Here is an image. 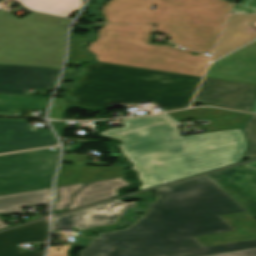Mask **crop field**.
Returning <instances> with one entry per match:
<instances>
[{"label": "crop field", "mask_w": 256, "mask_h": 256, "mask_svg": "<svg viewBox=\"0 0 256 256\" xmlns=\"http://www.w3.org/2000/svg\"><path fill=\"white\" fill-rule=\"evenodd\" d=\"M127 229L99 234L80 256H202L256 247V219L206 175L155 190Z\"/></svg>", "instance_id": "8a807250"}, {"label": "crop field", "mask_w": 256, "mask_h": 256, "mask_svg": "<svg viewBox=\"0 0 256 256\" xmlns=\"http://www.w3.org/2000/svg\"><path fill=\"white\" fill-rule=\"evenodd\" d=\"M122 121L124 128L101 135L121 140V153L143 183L138 190L240 162L247 148L241 129L180 137L164 114Z\"/></svg>", "instance_id": "ac0d7876"}, {"label": "crop field", "mask_w": 256, "mask_h": 256, "mask_svg": "<svg viewBox=\"0 0 256 256\" xmlns=\"http://www.w3.org/2000/svg\"><path fill=\"white\" fill-rule=\"evenodd\" d=\"M69 96L76 105L108 109L113 102L133 104L155 102L166 111L187 107L202 78L121 66L90 64Z\"/></svg>", "instance_id": "34b2d1b8"}, {"label": "crop field", "mask_w": 256, "mask_h": 256, "mask_svg": "<svg viewBox=\"0 0 256 256\" xmlns=\"http://www.w3.org/2000/svg\"><path fill=\"white\" fill-rule=\"evenodd\" d=\"M71 22L36 12L18 19L0 10V64L60 68Z\"/></svg>", "instance_id": "412701ff"}, {"label": "crop field", "mask_w": 256, "mask_h": 256, "mask_svg": "<svg viewBox=\"0 0 256 256\" xmlns=\"http://www.w3.org/2000/svg\"><path fill=\"white\" fill-rule=\"evenodd\" d=\"M59 150L0 156V195L51 187Z\"/></svg>", "instance_id": "f4fd0767"}, {"label": "crop field", "mask_w": 256, "mask_h": 256, "mask_svg": "<svg viewBox=\"0 0 256 256\" xmlns=\"http://www.w3.org/2000/svg\"><path fill=\"white\" fill-rule=\"evenodd\" d=\"M255 95L256 85L205 78L194 101L251 112Z\"/></svg>", "instance_id": "dd49c442"}, {"label": "crop field", "mask_w": 256, "mask_h": 256, "mask_svg": "<svg viewBox=\"0 0 256 256\" xmlns=\"http://www.w3.org/2000/svg\"><path fill=\"white\" fill-rule=\"evenodd\" d=\"M60 70L0 65V93L28 95L29 89L52 90Z\"/></svg>", "instance_id": "e52e79f7"}, {"label": "crop field", "mask_w": 256, "mask_h": 256, "mask_svg": "<svg viewBox=\"0 0 256 256\" xmlns=\"http://www.w3.org/2000/svg\"><path fill=\"white\" fill-rule=\"evenodd\" d=\"M85 183L66 185L56 188L54 210H64L71 202L75 194ZM131 183L123 177L92 182L85 185L79 193L74 196V201L66 209H75L85 205L118 197L117 190L120 187H128Z\"/></svg>", "instance_id": "d8731c3e"}, {"label": "crop field", "mask_w": 256, "mask_h": 256, "mask_svg": "<svg viewBox=\"0 0 256 256\" xmlns=\"http://www.w3.org/2000/svg\"><path fill=\"white\" fill-rule=\"evenodd\" d=\"M54 145L50 129L33 131L27 120L0 119V154Z\"/></svg>", "instance_id": "5a996713"}, {"label": "crop field", "mask_w": 256, "mask_h": 256, "mask_svg": "<svg viewBox=\"0 0 256 256\" xmlns=\"http://www.w3.org/2000/svg\"><path fill=\"white\" fill-rule=\"evenodd\" d=\"M249 213L256 217V171L236 167L207 175Z\"/></svg>", "instance_id": "3316defc"}, {"label": "crop field", "mask_w": 256, "mask_h": 256, "mask_svg": "<svg viewBox=\"0 0 256 256\" xmlns=\"http://www.w3.org/2000/svg\"><path fill=\"white\" fill-rule=\"evenodd\" d=\"M136 203L127 204L119 200L76 211L54 219L53 230L76 227L84 229L98 225L114 224L126 209L135 207Z\"/></svg>", "instance_id": "28ad6ade"}, {"label": "crop field", "mask_w": 256, "mask_h": 256, "mask_svg": "<svg viewBox=\"0 0 256 256\" xmlns=\"http://www.w3.org/2000/svg\"><path fill=\"white\" fill-rule=\"evenodd\" d=\"M253 21H256V16H230L227 20L212 60H215L248 43L249 41L256 39V30L247 25Z\"/></svg>", "instance_id": "d1516ede"}, {"label": "crop field", "mask_w": 256, "mask_h": 256, "mask_svg": "<svg viewBox=\"0 0 256 256\" xmlns=\"http://www.w3.org/2000/svg\"><path fill=\"white\" fill-rule=\"evenodd\" d=\"M47 240L46 221L0 233V256H43L44 251L23 253L18 244Z\"/></svg>", "instance_id": "22f410ed"}, {"label": "crop field", "mask_w": 256, "mask_h": 256, "mask_svg": "<svg viewBox=\"0 0 256 256\" xmlns=\"http://www.w3.org/2000/svg\"><path fill=\"white\" fill-rule=\"evenodd\" d=\"M121 168L62 165L57 176L56 187L124 176V174L119 173Z\"/></svg>", "instance_id": "cbeb9de0"}, {"label": "crop field", "mask_w": 256, "mask_h": 256, "mask_svg": "<svg viewBox=\"0 0 256 256\" xmlns=\"http://www.w3.org/2000/svg\"><path fill=\"white\" fill-rule=\"evenodd\" d=\"M51 188L0 196V213L24 214L21 207L49 203Z\"/></svg>", "instance_id": "5142ce71"}, {"label": "crop field", "mask_w": 256, "mask_h": 256, "mask_svg": "<svg viewBox=\"0 0 256 256\" xmlns=\"http://www.w3.org/2000/svg\"><path fill=\"white\" fill-rule=\"evenodd\" d=\"M153 27L149 25H120L105 24L103 29L99 30V36L149 43Z\"/></svg>", "instance_id": "d9b57169"}, {"label": "crop field", "mask_w": 256, "mask_h": 256, "mask_svg": "<svg viewBox=\"0 0 256 256\" xmlns=\"http://www.w3.org/2000/svg\"><path fill=\"white\" fill-rule=\"evenodd\" d=\"M26 8L67 17L74 10H80L82 0H17ZM72 14V13H71Z\"/></svg>", "instance_id": "733c2abd"}, {"label": "crop field", "mask_w": 256, "mask_h": 256, "mask_svg": "<svg viewBox=\"0 0 256 256\" xmlns=\"http://www.w3.org/2000/svg\"><path fill=\"white\" fill-rule=\"evenodd\" d=\"M49 98L0 94V115L13 116L15 109L45 110Z\"/></svg>", "instance_id": "4a817a6b"}, {"label": "crop field", "mask_w": 256, "mask_h": 256, "mask_svg": "<svg viewBox=\"0 0 256 256\" xmlns=\"http://www.w3.org/2000/svg\"><path fill=\"white\" fill-rule=\"evenodd\" d=\"M170 117L175 119L177 122L191 118L211 119V118H225L230 116H242L243 113L220 110L214 108H197L192 110H186L181 112L169 113Z\"/></svg>", "instance_id": "bc2a9ffb"}, {"label": "crop field", "mask_w": 256, "mask_h": 256, "mask_svg": "<svg viewBox=\"0 0 256 256\" xmlns=\"http://www.w3.org/2000/svg\"><path fill=\"white\" fill-rule=\"evenodd\" d=\"M248 117L249 116L237 118L230 117L225 119H212L210 120L212 123L204 127L206 132L242 128L243 124L248 119Z\"/></svg>", "instance_id": "214f88e0"}, {"label": "crop field", "mask_w": 256, "mask_h": 256, "mask_svg": "<svg viewBox=\"0 0 256 256\" xmlns=\"http://www.w3.org/2000/svg\"><path fill=\"white\" fill-rule=\"evenodd\" d=\"M242 129L248 142L244 158L256 157V115H251Z\"/></svg>", "instance_id": "92a150f3"}, {"label": "crop field", "mask_w": 256, "mask_h": 256, "mask_svg": "<svg viewBox=\"0 0 256 256\" xmlns=\"http://www.w3.org/2000/svg\"><path fill=\"white\" fill-rule=\"evenodd\" d=\"M86 44V42H70V50L66 64L79 65L82 59L93 61V58L84 56V52L78 49V46Z\"/></svg>", "instance_id": "dafd665d"}, {"label": "crop field", "mask_w": 256, "mask_h": 256, "mask_svg": "<svg viewBox=\"0 0 256 256\" xmlns=\"http://www.w3.org/2000/svg\"><path fill=\"white\" fill-rule=\"evenodd\" d=\"M230 13H256V0H241L234 4Z\"/></svg>", "instance_id": "00972430"}, {"label": "crop field", "mask_w": 256, "mask_h": 256, "mask_svg": "<svg viewBox=\"0 0 256 256\" xmlns=\"http://www.w3.org/2000/svg\"><path fill=\"white\" fill-rule=\"evenodd\" d=\"M63 99L54 98L51 110L49 112V118L59 119L64 111V106L62 105Z\"/></svg>", "instance_id": "a9b5d70f"}, {"label": "crop field", "mask_w": 256, "mask_h": 256, "mask_svg": "<svg viewBox=\"0 0 256 256\" xmlns=\"http://www.w3.org/2000/svg\"><path fill=\"white\" fill-rule=\"evenodd\" d=\"M209 256H256V248L248 249V250H241V251H234L228 253H221Z\"/></svg>", "instance_id": "4177f3b9"}, {"label": "crop field", "mask_w": 256, "mask_h": 256, "mask_svg": "<svg viewBox=\"0 0 256 256\" xmlns=\"http://www.w3.org/2000/svg\"><path fill=\"white\" fill-rule=\"evenodd\" d=\"M69 246H66V249H61V251H54V247L49 248L48 256H67L66 252Z\"/></svg>", "instance_id": "730fd06b"}, {"label": "crop field", "mask_w": 256, "mask_h": 256, "mask_svg": "<svg viewBox=\"0 0 256 256\" xmlns=\"http://www.w3.org/2000/svg\"><path fill=\"white\" fill-rule=\"evenodd\" d=\"M244 167L256 170V162L246 164Z\"/></svg>", "instance_id": "eef30255"}, {"label": "crop field", "mask_w": 256, "mask_h": 256, "mask_svg": "<svg viewBox=\"0 0 256 256\" xmlns=\"http://www.w3.org/2000/svg\"><path fill=\"white\" fill-rule=\"evenodd\" d=\"M3 227H7V225L3 221L0 220V228H3Z\"/></svg>", "instance_id": "ae1a2a85"}, {"label": "crop field", "mask_w": 256, "mask_h": 256, "mask_svg": "<svg viewBox=\"0 0 256 256\" xmlns=\"http://www.w3.org/2000/svg\"><path fill=\"white\" fill-rule=\"evenodd\" d=\"M254 113H256V99H255V103H254V107H253V111Z\"/></svg>", "instance_id": "d3111659"}, {"label": "crop field", "mask_w": 256, "mask_h": 256, "mask_svg": "<svg viewBox=\"0 0 256 256\" xmlns=\"http://www.w3.org/2000/svg\"><path fill=\"white\" fill-rule=\"evenodd\" d=\"M245 115H251V114H247V113H245V114H244V116H245Z\"/></svg>", "instance_id": "750c4746"}, {"label": "crop field", "mask_w": 256, "mask_h": 256, "mask_svg": "<svg viewBox=\"0 0 256 256\" xmlns=\"http://www.w3.org/2000/svg\"><path fill=\"white\" fill-rule=\"evenodd\" d=\"M83 2H85V0H83Z\"/></svg>", "instance_id": "bd1437ed"}]
</instances>
